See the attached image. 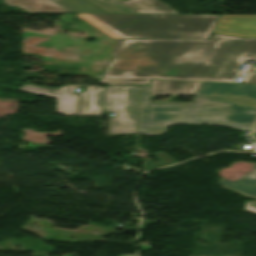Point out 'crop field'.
Masks as SVG:
<instances>
[{"mask_svg": "<svg viewBox=\"0 0 256 256\" xmlns=\"http://www.w3.org/2000/svg\"><path fill=\"white\" fill-rule=\"evenodd\" d=\"M214 33L256 37V15H222Z\"/></svg>", "mask_w": 256, "mask_h": 256, "instance_id": "e52e79f7", "label": "crop field"}, {"mask_svg": "<svg viewBox=\"0 0 256 256\" xmlns=\"http://www.w3.org/2000/svg\"><path fill=\"white\" fill-rule=\"evenodd\" d=\"M197 94L244 97L256 99V85L202 82Z\"/></svg>", "mask_w": 256, "mask_h": 256, "instance_id": "d8731c3e", "label": "crop field"}, {"mask_svg": "<svg viewBox=\"0 0 256 256\" xmlns=\"http://www.w3.org/2000/svg\"><path fill=\"white\" fill-rule=\"evenodd\" d=\"M122 3L138 13H179L159 0H128Z\"/></svg>", "mask_w": 256, "mask_h": 256, "instance_id": "3316defc", "label": "crop field"}, {"mask_svg": "<svg viewBox=\"0 0 256 256\" xmlns=\"http://www.w3.org/2000/svg\"><path fill=\"white\" fill-rule=\"evenodd\" d=\"M82 85H65L58 89H50L36 85H22L21 90L56 98V112L63 115L76 116L77 94L73 89ZM103 88L87 86L80 95L79 114L102 113Z\"/></svg>", "mask_w": 256, "mask_h": 256, "instance_id": "f4fd0767", "label": "crop field"}, {"mask_svg": "<svg viewBox=\"0 0 256 256\" xmlns=\"http://www.w3.org/2000/svg\"><path fill=\"white\" fill-rule=\"evenodd\" d=\"M29 13H106L84 0H4Z\"/></svg>", "mask_w": 256, "mask_h": 256, "instance_id": "dd49c442", "label": "crop field"}, {"mask_svg": "<svg viewBox=\"0 0 256 256\" xmlns=\"http://www.w3.org/2000/svg\"><path fill=\"white\" fill-rule=\"evenodd\" d=\"M108 13H136L117 0H86Z\"/></svg>", "mask_w": 256, "mask_h": 256, "instance_id": "d1516ede", "label": "crop field"}, {"mask_svg": "<svg viewBox=\"0 0 256 256\" xmlns=\"http://www.w3.org/2000/svg\"><path fill=\"white\" fill-rule=\"evenodd\" d=\"M242 83H256V74H248Z\"/></svg>", "mask_w": 256, "mask_h": 256, "instance_id": "cbeb9de0", "label": "crop field"}, {"mask_svg": "<svg viewBox=\"0 0 256 256\" xmlns=\"http://www.w3.org/2000/svg\"><path fill=\"white\" fill-rule=\"evenodd\" d=\"M111 39H208L219 15L76 14Z\"/></svg>", "mask_w": 256, "mask_h": 256, "instance_id": "34b2d1b8", "label": "crop field"}, {"mask_svg": "<svg viewBox=\"0 0 256 256\" xmlns=\"http://www.w3.org/2000/svg\"><path fill=\"white\" fill-rule=\"evenodd\" d=\"M256 60V39L214 34L211 40L124 39L100 82L149 84L150 77L233 81Z\"/></svg>", "mask_w": 256, "mask_h": 256, "instance_id": "8a807250", "label": "crop field"}, {"mask_svg": "<svg viewBox=\"0 0 256 256\" xmlns=\"http://www.w3.org/2000/svg\"><path fill=\"white\" fill-rule=\"evenodd\" d=\"M201 82L152 80L150 96L196 94Z\"/></svg>", "mask_w": 256, "mask_h": 256, "instance_id": "5a996713", "label": "crop field"}, {"mask_svg": "<svg viewBox=\"0 0 256 256\" xmlns=\"http://www.w3.org/2000/svg\"><path fill=\"white\" fill-rule=\"evenodd\" d=\"M140 86H107L103 110L116 113L110 118L109 133H137Z\"/></svg>", "mask_w": 256, "mask_h": 256, "instance_id": "412701ff", "label": "crop field"}, {"mask_svg": "<svg viewBox=\"0 0 256 256\" xmlns=\"http://www.w3.org/2000/svg\"><path fill=\"white\" fill-rule=\"evenodd\" d=\"M244 211L256 214V201H245Z\"/></svg>", "mask_w": 256, "mask_h": 256, "instance_id": "22f410ed", "label": "crop field"}, {"mask_svg": "<svg viewBox=\"0 0 256 256\" xmlns=\"http://www.w3.org/2000/svg\"><path fill=\"white\" fill-rule=\"evenodd\" d=\"M253 168V171L235 182L221 179L219 183L223 186L256 198V185H254L256 183V164L253 165Z\"/></svg>", "mask_w": 256, "mask_h": 256, "instance_id": "28ad6ade", "label": "crop field"}, {"mask_svg": "<svg viewBox=\"0 0 256 256\" xmlns=\"http://www.w3.org/2000/svg\"><path fill=\"white\" fill-rule=\"evenodd\" d=\"M253 133H256V125H255V127H254Z\"/></svg>", "mask_w": 256, "mask_h": 256, "instance_id": "5142ce71", "label": "crop field"}, {"mask_svg": "<svg viewBox=\"0 0 256 256\" xmlns=\"http://www.w3.org/2000/svg\"><path fill=\"white\" fill-rule=\"evenodd\" d=\"M150 86H141L138 131L145 135L164 133L177 123L224 125L251 130L256 101L195 96L193 102H149Z\"/></svg>", "mask_w": 256, "mask_h": 256, "instance_id": "ac0d7876", "label": "crop field"}]
</instances>
